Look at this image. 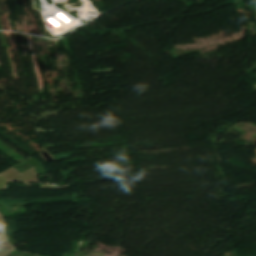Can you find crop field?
<instances>
[{
    "instance_id": "1",
    "label": "crop field",
    "mask_w": 256,
    "mask_h": 256,
    "mask_svg": "<svg viewBox=\"0 0 256 256\" xmlns=\"http://www.w3.org/2000/svg\"><path fill=\"white\" fill-rule=\"evenodd\" d=\"M9 256H37V255H31V254L13 251Z\"/></svg>"
}]
</instances>
